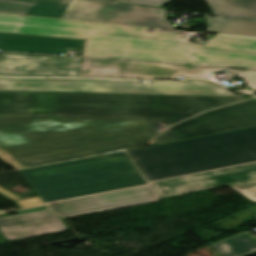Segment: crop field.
<instances>
[{"mask_svg": "<svg viewBox=\"0 0 256 256\" xmlns=\"http://www.w3.org/2000/svg\"><path fill=\"white\" fill-rule=\"evenodd\" d=\"M148 28L0 14V32L85 39L83 56L256 68V39L216 35L192 44Z\"/></svg>", "mask_w": 256, "mask_h": 256, "instance_id": "1", "label": "crop field"}, {"mask_svg": "<svg viewBox=\"0 0 256 256\" xmlns=\"http://www.w3.org/2000/svg\"><path fill=\"white\" fill-rule=\"evenodd\" d=\"M156 129L148 121L0 118V158L17 168L58 162L140 146Z\"/></svg>", "mask_w": 256, "mask_h": 256, "instance_id": "2", "label": "crop field"}, {"mask_svg": "<svg viewBox=\"0 0 256 256\" xmlns=\"http://www.w3.org/2000/svg\"><path fill=\"white\" fill-rule=\"evenodd\" d=\"M238 97L0 91V112L146 118L164 128Z\"/></svg>", "mask_w": 256, "mask_h": 256, "instance_id": "3", "label": "crop field"}, {"mask_svg": "<svg viewBox=\"0 0 256 256\" xmlns=\"http://www.w3.org/2000/svg\"><path fill=\"white\" fill-rule=\"evenodd\" d=\"M147 181L256 161V127L127 151Z\"/></svg>", "mask_w": 256, "mask_h": 256, "instance_id": "4", "label": "crop field"}, {"mask_svg": "<svg viewBox=\"0 0 256 256\" xmlns=\"http://www.w3.org/2000/svg\"><path fill=\"white\" fill-rule=\"evenodd\" d=\"M22 172L45 203L147 184L125 152Z\"/></svg>", "mask_w": 256, "mask_h": 256, "instance_id": "5", "label": "crop field"}, {"mask_svg": "<svg viewBox=\"0 0 256 256\" xmlns=\"http://www.w3.org/2000/svg\"><path fill=\"white\" fill-rule=\"evenodd\" d=\"M0 90L236 96L209 81L136 83L134 80L0 77Z\"/></svg>", "mask_w": 256, "mask_h": 256, "instance_id": "6", "label": "crop field"}, {"mask_svg": "<svg viewBox=\"0 0 256 256\" xmlns=\"http://www.w3.org/2000/svg\"><path fill=\"white\" fill-rule=\"evenodd\" d=\"M235 72L249 86L256 90V70H232L228 68H209L174 64L141 63L81 58L77 77H111V78H184L209 79L211 72Z\"/></svg>", "mask_w": 256, "mask_h": 256, "instance_id": "7", "label": "crop field"}, {"mask_svg": "<svg viewBox=\"0 0 256 256\" xmlns=\"http://www.w3.org/2000/svg\"><path fill=\"white\" fill-rule=\"evenodd\" d=\"M166 14L158 8L71 0L62 18L175 29Z\"/></svg>", "mask_w": 256, "mask_h": 256, "instance_id": "8", "label": "crop field"}, {"mask_svg": "<svg viewBox=\"0 0 256 256\" xmlns=\"http://www.w3.org/2000/svg\"><path fill=\"white\" fill-rule=\"evenodd\" d=\"M161 200L150 186L114 191L93 196L49 203V209L65 218Z\"/></svg>", "mask_w": 256, "mask_h": 256, "instance_id": "9", "label": "crop field"}, {"mask_svg": "<svg viewBox=\"0 0 256 256\" xmlns=\"http://www.w3.org/2000/svg\"><path fill=\"white\" fill-rule=\"evenodd\" d=\"M80 58L0 52V75L76 77Z\"/></svg>", "mask_w": 256, "mask_h": 256, "instance_id": "10", "label": "crop field"}, {"mask_svg": "<svg viewBox=\"0 0 256 256\" xmlns=\"http://www.w3.org/2000/svg\"><path fill=\"white\" fill-rule=\"evenodd\" d=\"M256 179V163L152 183L161 197ZM152 186V187H153Z\"/></svg>", "mask_w": 256, "mask_h": 256, "instance_id": "11", "label": "crop field"}, {"mask_svg": "<svg viewBox=\"0 0 256 256\" xmlns=\"http://www.w3.org/2000/svg\"><path fill=\"white\" fill-rule=\"evenodd\" d=\"M68 230L64 218L48 210L0 218V231L8 241Z\"/></svg>", "mask_w": 256, "mask_h": 256, "instance_id": "12", "label": "crop field"}, {"mask_svg": "<svg viewBox=\"0 0 256 256\" xmlns=\"http://www.w3.org/2000/svg\"><path fill=\"white\" fill-rule=\"evenodd\" d=\"M84 40L0 33V51L63 55L65 46L83 48Z\"/></svg>", "mask_w": 256, "mask_h": 256, "instance_id": "13", "label": "crop field"}, {"mask_svg": "<svg viewBox=\"0 0 256 256\" xmlns=\"http://www.w3.org/2000/svg\"><path fill=\"white\" fill-rule=\"evenodd\" d=\"M217 133L256 126V100L203 113Z\"/></svg>", "mask_w": 256, "mask_h": 256, "instance_id": "14", "label": "crop field"}, {"mask_svg": "<svg viewBox=\"0 0 256 256\" xmlns=\"http://www.w3.org/2000/svg\"><path fill=\"white\" fill-rule=\"evenodd\" d=\"M70 0H0V12L61 18Z\"/></svg>", "mask_w": 256, "mask_h": 256, "instance_id": "15", "label": "crop field"}, {"mask_svg": "<svg viewBox=\"0 0 256 256\" xmlns=\"http://www.w3.org/2000/svg\"><path fill=\"white\" fill-rule=\"evenodd\" d=\"M215 133V130L203 115L199 114L185 122L166 129L163 135L157 136L152 140L160 144Z\"/></svg>", "mask_w": 256, "mask_h": 256, "instance_id": "16", "label": "crop field"}, {"mask_svg": "<svg viewBox=\"0 0 256 256\" xmlns=\"http://www.w3.org/2000/svg\"><path fill=\"white\" fill-rule=\"evenodd\" d=\"M214 15L256 19V0H206Z\"/></svg>", "mask_w": 256, "mask_h": 256, "instance_id": "17", "label": "crop field"}, {"mask_svg": "<svg viewBox=\"0 0 256 256\" xmlns=\"http://www.w3.org/2000/svg\"><path fill=\"white\" fill-rule=\"evenodd\" d=\"M206 20L209 32L256 37V21L214 17H206Z\"/></svg>", "mask_w": 256, "mask_h": 256, "instance_id": "18", "label": "crop field"}, {"mask_svg": "<svg viewBox=\"0 0 256 256\" xmlns=\"http://www.w3.org/2000/svg\"><path fill=\"white\" fill-rule=\"evenodd\" d=\"M224 256H249L256 253V241L246 233L213 245Z\"/></svg>", "mask_w": 256, "mask_h": 256, "instance_id": "19", "label": "crop field"}, {"mask_svg": "<svg viewBox=\"0 0 256 256\" xmlns=\"http://www.w3.org/2000/svg\"><path fill=\"white\" fill-rule=\"evenodd\" d=\"M0 195L4 196L5 198L13 201L20 209L22 208H28V207H34L43 204L41 199L39 197L35 198H29V199H23L18 201L19 197L4 190L0 187Z\"/></svg>", "mask_w": 256, "mask_h": 256, "instance_id": "20", "label": "crop field"}, {"mask_svg": "<svg viewBox=\"0 0 256 256\" xmlns=\"http://www.w3.org/2000/svg\"><path fill=\"white\" fill-rule=\"evenodd\" d=\"M230 187L256 203V181L230 185Z\"/></svg>", "mask_w": 256, "mask_h": 256, "instance_id": "21", "label": "crop field"}, {"mask_svg": "<svg viewBox=\"0 0 256 256\" xmlns=\"http://www.w3.org/2000/svg\"><path fill=\"white\" fill-rule=\"evenodd\" d=\"M170 1L171 0H121L120 2L162 7Z\"/></svg>", "mask_w": 256, "mask_h": 256, "instance_id": "22", "label": "crop field"}, {"mask_svg": "<svg viewBox=\"0 0 256 256\" xmlns=\"http://www.w3.org/2000/svg\"><path fill=\"white\" fill-rule=\"evenodd\" d=\"M26 115H45V114H9V113H0V117L8 116H26ZM58 118H80V119H125V118H84V117H61L57 114ZM125 120H146V119H125Z\"/></svg>", "mask_w": 256, "mask_h": 256, "instance_id": "23", "label": "crop field"}, {"mask_svg": "<svg viewBox=\"0 0 256 256\" xmlns=\"http://www.w3.org/2000/svg\"><path fill=\"white\" fill-rule=\"evenodd\" d=\"M46 209V206H41V207H36V208H32V209H27V210H23V211H18L17 214L20 213H26V212H31V211H37V210H43Z\"/></svg>", "mask_w": 256, "mask_h": 256, "instance_id": "24", "label": "crop field"}, {"mask_svg": "<svg viewBox=\"0 0 256 256\" xmlns=\"http://www.w3.org/2000/svg\"><path fill=\"white\" fill-rule=\"evenodd\" d=\"M112 1H117V0H112Z\"/></svg>", "mask_w": 256, "mask_h": 256, "instance_id": "25", "label": "crop field"}, {"mask_svg": "<svg viewBox=\"0 0 256 256\" xmlns=\"http://www.w3.org/2000/svg\"><path fill=\"white\" fill-rule=\"evenodd\" d=\"M256 99V98H255Z\"/></svg>", "mask_w": 256, "mask_h": 256, "instance_id": "26", "label": "crop field"}]
</instances>
